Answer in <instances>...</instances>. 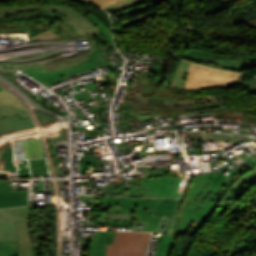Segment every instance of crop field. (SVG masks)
<instances>
[{
	"label": "crop field",
	"instance_id": "3",
	"mask_svg": "<svg viewBox=\"0 0 256 256\" xmlns=\"http://www.w3.org/2000/svg\"><path fill=\"white\" fill-rule=\"evenodd\" d=\"M144 169L146 177H141L140 186L123 187L120 190H114V193L132 196H156L168 198H180L185 187L179 186L181 178L170 173L168 167L162 168H139Z\"/></svg>",
	"mask_w": 256,
	"mask_h": 256
},
{
	"label": "crop field",
	"instance_id": "17",
	"mask_svg": "<svg viewBox=\"0 0 256 256\" xmlns=\"http://www.w3.org/2000/svg\"><path fill=\"white\" fill-rule=\"evenodd\" d=\"M176 237L163 235L160 238L155 256H170L173 247L176 245Z\"/></svg>",
	"mask_w": 256,
	"mask_h": 256
},
{
	"label": "crop field",
	"instance_id": "5",
	"mask_svg": "<svg viewBox=\"0 0 256 256\" xmlns=\"http://www.w3.org/2000/svg\"><path fill=\"white\" fill-rule=\"evenodd\" d=\"M256 184V168L240 170L227 184L221 193L216 205L222 207L221 211L230 209L227 217L235 219L240 205L236 201L240 196L247 191L250 187ZM223 213V212H222ZM218 214H221L219 212Z\"/></svg>",
	"mask_w": 256,
	"mask_h": 256
},
{
	"label": "crop field",
	"instance_id": "30",
	"mask_svg": "<svg viewBox=\"0 0 256 256\" xmlns=\"http://www.w3.org/2000/svg\"><path fill=\"white\" fill-rule=\"evenodd\" d=\"M91 108L96 112V111H99L100 109H104L107 107H106V105H100L99 107H96V109L94 108V106H91Z\"/></svg>",
	"mask_w": 256,
	"mask_h": 256
},
{
	"label": "crop field",
	"instance_id": "4",
	"mask_svg": "<svg viewBox=\"0 0 256 256\" xmlns=\"http://www.w3.org/2000/svg\"><path fill=\"white\" fill-rule=\"evenodd\" d=\"M239 74L191 64L184 89L228 88L235 85Z\"/></svg>",
	"mask_w": 256,
	"mask_h": 256
},
{
	"label": "crop field",
	"instance_id": "27",
	"mask_svg": "<svg viewBox=\"0 0 256 256\" xmlns=\"http://www.w3.org/2000/svg\"><path fill=\"white\" fill-rule=\"evenodd\" d=\"M91 2L95 3L96 5L100 6L101 8L106 6V5H109L113 2H116L118 0H90Z\"/></svg>",
	"mask_w": 256,
	"mask_h": 256
},
{
	"label": "crop field",
	"instance_id": "9",
	"mask_svg": "<svg viewBox=\"0 0 256 256\" xmlns=\"http://www.w3.org/2000/svg\"><path fill=\"white\" fill-rule=\"evenodd\" d=\"M15 221H29L28 206L0 210V241L18 240Z\"/></svg>",
	"mask_w": 256,
	"mask_h": 256
},
{
	"label": "crop field",
	"instance_id": "14",
	"mask_svg": "<svg viewBox=\"0 0 256 256\" xmlns=\"http://www.w3.org/2000/svg\"><path fill=\"white\" fill-rule=\"evenodd\" d=\"M189 65H190V62H186L183 60L179 61L178 66L173 75L171 88H179V89L184 88V79H185V75L187 73Z\"/></svg>",
	"mask_w": 256,
	"mask_h": 256
},
{
	"label": "crop field",
	"instance_id": "29",
	"mask_svg": "<svg viewBox=\"0 0 256 256\" xmlns=\"http://www.w3.org/2000/svg\"><path fill=\"white\" fill-rule=\"evenodd\" d=\"M249 26H256V19L250 20L248 22H245Z\"/></svg>",
	"mask_w": 256,
	"mask_h": 256
},
{
	"label": "crop field",
	"instance_id": "24",
	"mask_svg": "<svg viewBox=\"0 0 256 256\" xmlns=\"http://www.w3.org/2000/svg\"><path fill=\"white\" fill-rule=\"evenodd\" d=\"M164 220L171 222L167 234L174 235L175 232H176V229H177V225H178V221H179V220H178V219H174V218H168V217H165Z\"/></svg>",
	"mask_w": 256,
	"mask_h": 256
},
{
	"label": "crop field",
	"instance_id": "33",
	"mask_svg": "<svg viewBox=\"0 0 256 256\" xmlns=\"http://www.w3.org/2000/svg\"><path fill=\"white\" fill-rule=\"evenodd\" d=\"M0 178H6V174H0Z\"/></svg>",
	"mask_w": 256,
	"mask_h": 256
},
{
	"label": "crop field",
	"instance_id": "32",
	"mask_svg": "<svg viewBox=\"0 0 256 256\" xmlns=\"http://www.w3.org/2000/svg\"><path fill=\"white\" fill-rule=\"evenodd\" d=\"M43 180L39 181L38 190H42Z\"/></svg>",
	"mask_w": 256,
	"mask_h": 256
},
{
	"label": "crop field",
	"instance_id": "20",
	"mask_svg": "<svg viewBox=\"0 0 256 256\" xmlns=\"http://www.w3.org/2000/svg\"><path fill=\"white\" fill-rule=\"evenodd\" d=\"M106 234H107V231H101L99 248H98V256H106V248H107V245H105Z\"/></svg>",
	"mask_w": 256,
	"mask_h": 256
},
{
	"label": "crop field",
	"instance_id": "8",
	"mask_svg": "<svg viewBox=\"0 0 256 256\" xmlns=\"http://www.w3.org/2000/svg\"><path fill=\"white\" fill-rule=\"evenodd\" d=\"M98 48L94 47V52L90 54L89 58L77 65L71 66L68 69L65 70H59V71H54V72H47V74H28L34 79L38 80L44 85H50L59 81L64 80L63 78L69 75L70 73H79V72H84L87 69H90L92 67H101V66H106V67H111L110 65L107 64L106 61L101 59L99 56L96 55L98 52Z\"/></svg>",
	"mask_w": 256,
	"mask_h": 256
},
{
	"label": "crop field",
	"instance_id": "12",
	"mask_svg": "<svg viewBox=\"0 0 256 256\" xmlns=\"http://www.w3.org/2000/svg\"><path fill=\"white\" fill-rule=\"evenodd\" d=\"M19 238V256H32L29 222H16Z\"/></svg>",
	"mask_w": 256,
	"mask_h": 256
},
{
	"label": "crop field",
	"instance_id": "19",
	"mask_svg": "<svg viewBox=\"0 0 256 256\" xmlns=\"http://www.w3.org/2000/svg\"><path fill=\"white\" fill-rule=\"evenodd\" d=\"M86 16L102 30L101 35L113 46L110 30L106 28L92 13L86 14Z\"/></svg>",
	"mask_w": 256,
	"mask_h": 256
},
{
	"label": "crop field",
	"instance_id": "26",
	"mask_svg": "<svg viewBox=\"0 0 256 256\" xmlns=\"http://www.w3.org/2000/svg\"><path fill=\"white\" fill-rule=\"evenodd\" d=\"M81 93L82 94H79V93L78 94H74V97H75L76 101H78V100H80L82 98H84L85 102L92 100V98H91L90 94L88 93V91H84V92H81Z\"/></svg>",
	"mask_w": 256,
	"mask_h": 256
},
{
	"label": "crop field",
	"instance_id": "6",
	"mask_svg": "<svg viewBox=\"0 0 256 256\" xmlns=\"http://www.w3.org/2000/svg\"><path fill=\"white\" fill-rule=\"evenodd\" d=\"M84 199L92 200L91 203L113 204V205H130L140 206L136 213L140 221L148 222L146 231L156 232L161 217L154 216L156 205L159 201L157 198H128V197H106L104 202H95L92 196H85Z\"/></svg>",
	"mask_w": 256,
	"mask_h": 256
},
{
	"label": "crop field",
	"instance_id": "25",
	"mask_svg": "<svg viewBox=\"0 0 256 256\" xmlns=\"http://www.w3.org/2000/svg\"><path fill=\"white\" fill-rule=\"evenodd\" d=\"M37 115H38L40 122H42V124L59 120V119L50 117L48 115L42 114L40 112H38Z\"/></svg>",
	"mask_w": 256,
	"mask_h": 256
},
{
	"label": "crop field",
	"instance_id": "31",
	"mask_svg": "<svg viewBox=\"0 0 256 256\" xmlns=\"http://www.w3.org/2000/svg\"><path fill=\"white\" fill-rule=\"evenodd\" d=\"M115 4H116V3H113V4H111V5H109V6H106V7L102 8V9H104V10H106V11L112 10V9L114 8Z\"/></svg>",
	"mask_w": 256,
	"mask_h": 256
},
{
	"label": "crop field",
	"instance_id": "15",
	"mask_svg": "<svg viewBox=\"0 0 256 256\" xmlns=\"http://www.w3.org/2000/svg\"><path fill=\"white\" fill-rule=\"evenodd\" d=\"M178 202L179 200L160 199L155 211V215H166L173 217L177 210Z\"/></svg>",
	"mask_w": 256,
	"mask_h": 256
},
{
	"label": "crop field",
	"instance_id": "11",
	"mask_svg": "<svg viewBox=\"0 0 256 256\" xmlns=\"http://www.w3.org/2000/svg\"><path fill=\"white\" fill-rule=\"evenodd\" d=\"M18 114L20 118L29 117L23 106L9 93L0 91V117Z\"/></svg>",
	"mask_w": 256,
	"mask_h": 256
},
{
	"label": "crop field",
	"instance_id": "2",
	"mask_svg": "<svg viewBox=\"0 0 256 256\" xmlns=\"http://www.w3.org/2000/svg\"><path fill=\"white\" fill-rule=\"evenodd\" d=\"M39 8L67 13L57 22L70 36L85 34H90L92 37L97 36L104 44H107L114 50V48L99 34L101 31L95 24H93L79 10L65 5L2 7L0 8V22L37 18Z\"/></svg>",
	"mask_w": 256,
	"mask_h": 256
},
{
	"label": "crop field",
	"instance_id": "18",
	"mask_svg": "<svg viewBox=\"0 0 256 256\" xmlns=\"http://www.w3.org/2000/svg\"><path fill=\"white\" fill-rule=\"evenodd\" d=\"M18 255V241L0 242V256Z\"/></svg>",
	"mask_w": 256,
	"mask_h": 256
},
{
	"label": "crop field",
	"instance_id": "28",
	"mask_svg": "<svg viewBox=\"0 0 256 256\" xmlns=\"http://www.w3.org/2000/svg\"><path fill=\"white\" fill-rule=\"evenodd\" d=\"M85 87H86V88L90 87L91 90H92V92L98 91V88L96 87L95 83H93V84H87V85H85Z\"/></svg>",
	"mask_w": 256,
	"mask_h": 256
},
{
	"label": "crop field",
	"instance_id": "21",
	"mask_svg": "<svg viewBox=\"0 0 256 256\" xmlns=\"http://www.w3.org/2000/svg\"><path fill=\"white\" fill-rule=\"evenodd\" d=\"M145 1H147V0H122V1L118 2L114 11H117V10H120V9H123L126 7H130V6L145 2Z\"/></svg>",
	"mask_w": 256,
	"mask_h": 256
},
{
	"label": "crop field",
	"instance_id": "23",
	"mask_svg": "<svg viewBox=\"0 0 256 256\" xmlns=\"http://www.w3.org/2000/svg\"><path fill=\"white\" fill-rule=\"evenodd\" d=\"M99 234H100V231H98L97 233L96 240H91L88 256H97Z\"/></svg>",
	"mask_w": 256,
	"mask_h": 256
},
{
	"label": "crop field",
	"instance_id": "10",
	"mask_svg": "<svg viewBox=\"0 0 256 256\" xmlns=\"http://www.w3.org/2000/svg\"><path fill=\"white\" fill-rule=\"evenodd\" d=\"M176 56L185 60L198 62L211 66L214 59H256V56H220L209 52L192 49L184 54L176 53Z\"/></svg>",
	"mask_w": 256,
	"mask_h": 256
},
{
	"label": "crop field",
	"instance_id": "1",
	"mask_svg": "<svg viewBox=\"0 0 256 256\" xmlns=\"http://www.w3.org/2000/svg\"><path fill=\"white\" fill-rule=\"evenodd\" d=\"M239 170H230L228 176L222 175L223 171L196 176L186 201L180 208V221L175 236L179 233H197L214 212L213 206L227 182Z\"/></svg>",
	"mask_w": 256,
	"mask_h": 256
},
{
	"label": "crop field",
	"instance_id": "34",
	"mask_svg": "<svg viewBox=\"0 0 256 256\" xmlns=\"http://www.w3.org/2000/svg\"><path fill=\"white\" fill-rule=\"evenodd\" d=\"M0 90H2V89L0 88Z\"/></svg>",
	"mask_w": 256,
	"mask_h": 256
},
{
	"label": "crop field",
	"instance_id": "13",
	"mask_svg": "<svg viewBox=\"0 0 256 256\" xmlns=\"http://www.w3.org/2000/svg\"><path fill=\"white\" fill-rule=\"evenodd\" d=\"M35 126L31 117L20 119L18 115L0 118V134L21 128Z\"/></svg>",
	"mask_w": 256,
	"mask_h": 256
},
{
	"label": "crop field",
	"instance_id": "16",
	"mask_svg": "<svg viewBox=\"0 0 256 256\" xmlns=\"http://www.w3.org/2000/svg\"><path fill=\"white\" fill-rule=\"evenodd\" d=\"M27 205V194L0 195V208Z\"/></svg>",
	"mask_w": 256,
	"mask_h": 256
},
{
	"label": "crop field",
	"instance_id": "22",
	"mask_svg": "<svg viewBox=\"0 0 256 256\" xmlns=\"http://www.w3.org/2000/svg\"><path fill=\"white\" fill-rule=\"evenodd\" d=\"M28 191H9V181H0L1 194L27 193Z\"/></svg>",
	"mask_w": 256,
	"mask_h": 256
},
{
	"label": "crop field",
	"instance_id": "7",
	"mask_svg": "<svg viewBox=\"0 0 256 256\" xmlns=\"http://www.w3.org/2000/svg\"><path fill=\"white\" fill-rule=\"evenodd\" d=\"M151 233L117 232L107 256H145Z\"/></svg>",
	"mask_w": 256,
	"mask_h": 256
}]
</instances>
